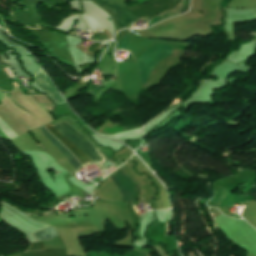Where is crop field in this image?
<instances>
[{
	"label": "crop field",
	"instance_id": "5",
	"mask_svg": "<svg viewBox=\"0 0 256 256\" xmlns=\"http://www.w3.org/2000/svg\"><path fill=\"white\" fill-rule=\"evenodd\" d=\"M33 235L37 241L50 240L54 237H57V231L53 227H49L42 231L36 232Z\"/></svg>",
	"mask_w": 256,
	"mask_h": 256
},
{
	"label": "crop field",
	"instance_id": "9",
	"mask_svg": "<svg viewBox=\"0 0 256 256\" xmlns=\"http://www.w3.org/2000/svg\"><path fill=\"white\" fill-rule=\"evenodd\" d=\"M0 64H1V62H0Z\"/></svg>",
	"mask_w": 256,
	"mask_h": 256
},
{
	"label": "crop field",
	"instance_id": "6",
	"mask_svg": "<svg viewBox=\"0 0 256 256\" xmlns=\"http://www.w3.org/2000/svg\"><path fill=\"white\" fill-rule=\"evenodd\" d=\"M6 71L8 72L10 78H13V77H14V75H13V73L11 72L10 68L5 69V72H6Z\"/></svg>",
	"mask_w": 256,
	"mask_h": 256
},
{
	"label": "crop field",
	"instance_id": "2",
	"mask_svg": "<svg viewBox=\"0 0 256 256\" xmlns=\"http://www.w3.org/2000/svg\"><path fill=\"white\" fill-rule=\"evenodd\" d=\"M97 3L104 6L115 17L119 28H128L129 25L137 18L127 8L113 3L109 0H96Z\"/></svg>",
	"mask_w": 256,
	"mask_h": 256
},
{
	"label": "crop field",
	"instance_id": "8",
	"mask_svg": "<svg viewBox=\"0 0 256 256\" xmlns=\"http://www.w3.org/2000/svg\"><path fill=\"white\" fill-rule=\"evenodd\" d=\"M28 92H29L30 94L34 93V92H32L31 90H28Z\"/></svg>",
	"mask_w": 256,
	"mask_h": 256
},
{
	"label": "crop field",
	"instance_id": "1",
	"mask_svg": "<svg viewBox=\"0 0 256 256\" xmlns=\"http://www.w3.org/2000/svg\"><path fill=\"white\" fill-rule=\"evenodd\" d=\"M57 138H59L81 161V163L85 162H97L103 160V158L98 154L96 148L86 139L84 138L78 131L72 128L63 120L54 124L56 128H58L64 135H66L70 140H68L62 133H60L54 126L50 123L45 125ZM45 126L39 127L38 129L70 160V162L75 166L76 169L82 165L76 156L59 140L57 139Z\"/></svg>",
	"mask_w": 256,
	"mask_h": 256
},
{
	"label": "crop field",
	"instance_id": "7",
	"mask_svg": "<svg viewBox=\"0 0 256 256\" xmlns=\"http://www.w3.org/2000/svg\"><path fill=\"white\" fill-rule=\"evenodd\" d=\"M13 85H14V87H18V85L16 84V82H13Z\"/></svg>",
	"mask_w": 256,
	"mask_h": 256
},
{
	"label": "crop field",
	"instance_id": "3",
	"mask_svg": "<svg viewBox=\"0 0 256 256\" xmlns=\"http://www.w3.org/2000/svg\"><path fill=\"white\" fill-rule=\"evenodd\" d=\"M118 181L120 182L122 188L124 189L129 202L130 203H134L136 200V196H137V188L135 187V185L133 184L132 180L127 176V174L124 172V170H120L118 173L115 174ZM115 175L112 178V180L115 182V184L117 185V187L119 188L120 192L122 193L124 199L126 202H128L127 197L123 191V189L121 188L119 182L117 181ZM128 202V203H129Z\"/></svg>",
	"mask_w": 256,
	"mask_h": 256
},
{
	"label": "crop field",
	"instance_id": "4",
	"mask_svg": "<svg viewBox=\"0 0 256 256\" xmlns=\"http://www.w3.org/2000/svg\"><path fill=\"white\" fill-rule=\"evenodd\" d=\"M37 84L46 91L56 102L64 101L60 93L54 88L49 79L44 74L43 70H40L39 74L36 76Z\"/></svg>",
	"mask_w": 256,
	"mask_h": 256
}]
</instances>
